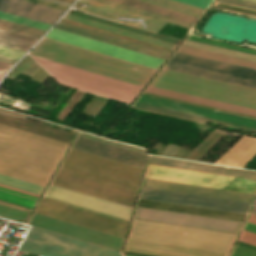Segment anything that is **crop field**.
Wrapping results in <instances>:
<instances>
[{"label": "crop field", "instance_id": "obj_1", "mask_svg": "<svg viewBox=\"0 0 256 256\" xmlns=\"http://www.w3.org/2000/svg\"><path fill=\"white\" fill-rule=\"evenodd\" d=\"M141 169L70 149L52 185L133 205ZM50 185L45 197L124 220L131 206Z\"/></svg>", "mask_w": 256, "mask_h": 256}, {"label": "crop field", "instance_id": "obj_2", "mask_svg": "<svg viewBox=\"0 0 256 256\" xmlns=\"http://www.w3.org/2000/svg\"><path fill=\"white\" fill-rule=\"evenodd\" d=\"M165 69L256 89V70L176 52ZM162 69L151 86L256 109V90Z\"/></svg>", "mask_w": 256, "mask_h": 256}, {"label": "crop field", "instance_id": "obj_3", "mask_svg": "<svg viewBox=\"0 0 256 256\" xmlns=\"http://www.w3.org/2000/svg\"><path fill=\"white\" fill-rule=\"evenodd\" d=\"M68 145L0 124V173L45 186Z\"/></svg>", "mask_w": 256, "mask_h": 256}, {"label": "crop field", "instance_id": "obj_4", "mask_svg": "<svg viewBox=\"0 0 256 256\" xmlns=\"http://www.w3.org/2000/svg\"><path fill=\"white\" fill-rule=\"evenodd\" d=\"M37 56L144 86L155 69L44 38L30 52ZM134 84V85H135ZM141 86V87H142Z\"/></svg>", "mask_w": 256, "mask_h": 256}, {"label": "crop field", "instance_id": "obj_5", "mask_svg": "<svg viewBox=\"0 0 256 256\" xmlns=\"http://www.w3.org/2000/svg\"><path fill=\"white\" fill-rule=\"evenodd\" d=\"M236 235L134 219L132 239L228 253Z\"/></svg>", "mask_w": 256, "mask_h": 256}, {"label": "crop field", "instance_id": "obj_6", "mask_svg": "<svg viewBox=\"0 0 256 256\" xmlns=\"http://www.w3.org/2000/svg\"><path fill=\"white\" fill-rule=\"evenodd\" d=\"M60 83L130 103L142 88L128 82L31 55Z\"/></svg>", "mask_w": 256, "mask_h": 256}, {"label": "crop field", "instance_id": "obj_7", "mask_svg": "<svg viewBox=\"0 0 256 256\" xmlns=\"http://www.w3.org/2000/svg\"><path fill=\"white\" fill-rule=\"evenodd\" d=\"M21 251L41 256H122L120 251L32 226Z\"/></svg>", "mask_w": 256, "mask_h": 256}, {"label": "crop field", "instance_id": "obj_8", "mask_svg": "<svg viewBox=\"0 0 256 256\" xmlns=\"http://www.w3.org/2000/svg\"><path fill=\"white\" fill-rule=\"evenodd\" d=\"M146 177L256 194V180L148 164Z\"/></svg>", "mask_w": 256, "mask_h": 256}, {"label": "crop field", "instance_id": "obj_9", "mask_svg": "<svg viewBox=\"0 0 256 256\" xmlns=\"http://www.w3.org/2000/svg\"><path fill=\"white\" fill-rule=\"evenodd\" d=\"M35 213L116 235L125 237L127 223L119 222L109 218L90 214L80 210L61 206L51 202L41 200Z\"/></svg>", "mask_w": 256, "mask_h": 256}, {"label": "crop field", "instance_id": "obj_10", "mask_svg": "<svg viewBox=\"0 0 256 256\" xmlns=\"http://www.w3.org/2000/svg\"><path fill=\"white\" fill-rule=\"evenodd\" d=\"M155 201L246 214L251 203L142 187L140 197Z\"/></svg>", "mask_w": 256, "mask_h": 256}, {"label": "crop field", "instance_id": "obj_11", "mask_svg": "<svg viewBox=\"0 0 256 256\" xmlns=\"http://www.w3.org/2000/svg\"><path fill=\"white\" fill-rule=\"evenodd\" d=\"M137 219L237 234L242 223L137 207Z\"/></svg>", "mask_w": 256, "mask_h": 256}, {"label": "crop field", "instance_id": "obj_12", "mask_svg": "<svg viewBox=\"0 0 256 256\" xmlns=\"http://www.w3.org/2000/svg\"><path fill=\"white\" fill-rule=\"evenodd\" d=\"M46 38H50L53 40H57L60 42H64L67 44H71L74 46H78L81 48H85L88 50H92L95 52H99L102 54H106L109 56H113L116 58H120L123 60H127L130 62H134L144 66L155 68V69H157L160 66V64L163 62V60H159L153 57H149L143 54L122 49L116 46H112L106 43H102L96 40L85 38V37L75 35V34L65 32L55 28H53L50 31V33L46 36Z\"/></svg>", "mask_w": 256, "mask_h": 256}, {"label": "crop field", "instance_id": "obj_13", "mask_svg": "<svg viewBox=\"0 0 256 256\" xmlns=\"http://www.w3.org/2000/svg\"><path fill=\"white\" fill-rule=\"evenodd\" d=\"M64 19L82 23V24H85L88 26H92L95 28L113 32V33H116L119 35H123L126 37L144 41V42L154 44L157 46H161L164 48H168L171 50H173L174 47L179 42V40H175V39L168 38L165 36L157 35L154 33H150V32L143 31V30L136 29V28L129 27V26H125L122 24H118L115 22H111L108 20H104L101 18L86 15V14L79 13V12L72 11V10L69 11V13L64 17Z\"/></svg>", "mask_w": 256, "mask_h": 256}, {"label": "crop field", "instance_id": "obj_14", "mask_svg": "<svg viewBox=\"0 0 256 256\" xmlns=\"http://www.w3.org/2000/svg\"><path fill=\"white\" fill-rule=\"evenodd\" d=\"M28 224L68 235L74 238L118 249L120 251L122 249L124 241L123 238H119L35 213H33Z\"/></svg>", "mask_w": 256, "mask_h": 256}, {"label": "crop field", "instance_id": "obj_15", "mask_svg": "<svg viewBox=\"0 0 256 256\" xmlns=\"http://www.w3.org/2000/svg\"><path fill=\"white\" fill-rule=\"evenodd\" d=\"M72 149L83 151L89 154L107 158L141 169L143 168L146 157L145 155H141L135 152L124 150L80 136H78L77 140L73 144Z\"/></svg>", "mask_w": 256, "mask_h": 256}, {"label": "crop field", "instance_id": "obj_16", "mask_svg": "<svg viewBox=\"0 0 256 256\" xmlns=\"http://www.w3.org/2000/svg\"><path fill=\"white\" fill-rule=\"evenodd\" d=\"M135 256H226L227 254L129 239L126 253Z\"/></svg>", "mask_w": 256, "mask_h": 256}, {"label": "crop field", "instance_id": "obj_17", "mask_svg": "<svg viewBox=\"0 0 256 256\" xmlns=\"http://www.w3.org/2000/svg\"><path fill=\"white\" fill-rule=\"evenodd\" d=\"M137 101L256 128V120L250 119V118L231 115V114H227V113L208 110V109L185 105V104H181V103L171 102V101L148 97V96H144V95H141Z\"/></svg>", "mask_w": 256, "mask_h": 256}, {"label": "crop field", "instance_id": "obj_18", "mask_svg": "<svg viewBox=\"0 0 256 256\" xmlns=\"http://www.w3.org/2000/svg\"><path fill=\"white\" fill-rule=\"evenodd\" d=\"M0 11L53 24L64 10L25 0H0Z\"/></svg>", "mask_w": 256, "mask_h": 256}, {"label": "crop field", "instance_id": "obj_19", "mask_svg": "<svg viewBox=\"0 0 256 256\" xmlns=\"http://www.w3.org/2000/svg\"><path fill=\"white\" fill-rule=\"evenodd\" d=\"M142 186L194 193V194L207 195V196H214V197H221V198H228V199H235V200H242V201H249V202H252L255 197V195L253 194L200 187V186L187 185V184L174 183V182L161 181V180H154V179H148V178L144 179Z\"/></svg>", "mask_w": 256, "mask_h": 256}, {"label": "crop field", "instance_id": "obj_20", "mask_svg": "<svg viewBox=\"0 0 256 256\" xmlns=\"http://www.w3.org/2000/svg\"><path fill=\"white\" fill-rule=\"evenodd\" d=\"M256 157V138L243 135L215 163L243 168Z\"/></svg>", "mask_w": 256, "mask_h": 256}, {"label": "crop field", "instance_id": "obj_21", "mask_svg": "<svg viewBox=\"0 0 256 256\" xmlns=\"http://www.w3.org/2000/svg\"><path fill=\"white\" fill-rule=\"evenodd\" d=\"M153 209L243 222L246 215L139 199L138 205Z\"/></svg>", "mask_w": 256, "mask_h": 256}, {"label": "crop field", "instance_id": "obj_22", "mask_svg": "<svg viewBox=\"0 0 256 256\" xmlns=\"http://www.w3.org/2000/svg\"><path fill=\"white\" fill-rule=\"evenodd\" d=\"M148 163L256 179V172L254 171L239 170L162 157L150 156Z\"/></svg>", "mask_w": 256, "mask_h": 256}, {"label": "crop field", "instance_id": "obj_23", "mask_svg": "<svg viewBox=\"0 0 256 256\" xmlns=\"http://www.w3.org/2000/svg\"><path fill=\"white\" fill-rule=\"evenodd\" d=\"M183 44L256 61L255 50H250L192 36H189Z\"/></svg>", "mask_w": 256, "mask_h": 256}, {"label": "crop field", "instance_id": "obj_24", "mask_svg": "<svg viewBox=\"0 0 256 256\" xmlns=\"http://www.w3.org/2000/svg\"><path fill=\"white\" fill-rule=\"evenodd\" d=\"M146 92L256 116V110L148 86Z\"/></svg>", "mask_w": 256, "mask_h": 256}, {"label": "crop field", "instance_id": "obj_25", "mask_svg": "<svg viewBox=\"0 0 256 256\" xmlns=\"http://www.w3.org/2000/svg\"><path fill=\"white\" fill-rule=\"evenodd\" d=\"M39 194L0 184V200L33 208Z\"/></svg>", "mask_w": 256, "mask_h": 256}, {"label": "crop field", "instance_id": "obj_26", "mask_svg": "<svg viewBox=\"0 0 256 256\" xmlns=\"http://www.w3.org/2000/svg\"><path fill=\"white\" fill-rule=\"evenodd\" d=\"M178 51L256 69V62L251 61V60H246V59H242V58H237V57H233V56L210 52V51L197 49V48H193V47H188V46H184V45H181V47L178 49Z\"/></svg>", "mask_w": 256, "mask_h": 256}, {"label": "crop field", "instance_id": "obj_27", "mask_svg": "<svg viewBox=\"0 0 256 256\" xmlns=\"http://www.w3.org/2000/svg\"><path fill=\"white\" fill-rule=\"evenodd\" d=\"M55 28H59V29L69 31V32H72V33H75V34H79V35H82V36H85V37H89V38L96 39V40H99V41H102V42H106V43H109V44H112V45H116V46H119V47H122V48L133 50V51L143 53V54H146V55H149V56H153V57H156V58H159V59L165 60L166 57H167V55H163V54H160V53H156V52H153V51L142 49V48H139V47H136V46H132V45L125 44V43H122V42H118V41H115V40L104 38V37H101V36L90 34V33L80 31V30H77V29H73V28H70V27H66V26H63V25L57 24L55 26Z\"/></svg>", "mask_w": 256, "mask_h": 256}, {"label": "crop field", "instance_id": "obj_28", "mask_svg": "<svg viewBox=\"0 0 256 256\" xmlns=\"http://www.w3.org/2000/svg\"><path fill=\"white\" fill-rule=\"evenodd\" d=\"M36 41L37 39L0 30V45L2 46L26 52Z\"/></svg>", "mask_w": 256, "mask_h": 256}, {"label": "crop field", "instance_id": "obj_29", "mask_svg": "<svg viewBox=\"0 0 256 256\" xmlns=\"http://www.w3.org/2000/svg\"><path fill=\"white\" fill-rule=\"evenodd\" d=\"M115 1H119V2L126 3V4H129V5H133V6H136V7L144 8V9H147V10H151V11H154V12H158V13H161V14H165V15H168V16H172V17L179 18V19L186 20V21L193 22V23H195L196 20L198 19V17H194V16H191V15L180 13V12H177V11H173V10L166 9V8H163V7H159V6H156V5H152V4H149V3L141 2V1H138V0H115Z\"/></svg>", "mask_w": 256, "mask_h": 256}, {"label": "crop field", "instance_id": "obj_30", "mask_svg": "<svg viewBox=\"0 0 256 256\" xmlns=\"http://www.w3.org/2000/svg\"><path fill=\"white\" fill-rule=\"evenodd\" d=\"M97 1L104 2V3L114 5V6H117V7H121V8L131 10V11H134V12H138V13H141V14H145V15L155 17V18H158V19H162V20L172 22V23H175V24H179V25H182V26H185V27L191 28L192 25H193L192 23H189V22H186V21H182V20H179V19H175V18H172V17H168V16H165V15H161V14L154 13V12H151V11H147V10H144V9L136 8V7L129 6V5H126V4H122V3H119V2H115V1H112V0H97Z\"/></svg>", "mask_w": 256, "mask_h": 256}, {"label": "crop field", "instance_id": "obj_31", "mask_svg": "<svg viewBox=\"0 0 256 256\" xmlns=\"http://www.w3.org/2000/svg\"><path fill=\"white\" fill-rule=\"evenodd\" d=\"M0 19L18 23V24H22V25H26L29 27L37 28V29H41V30H45V31H47L49 29V27L51 26L50 24H46V23L14 16V15L6 14V13H2V12H0Z\"/></svg>", "mask_w": 256, "mask_h": 256}, {"label": "crop field", "instance_id": "obj_32", "mask_svg": "<svg viewBox=\"0 0 256 256\" xmlns=\"http://www.w3.org/2000/svg\"><path fill=\"white\" fill-rule=\"evenodd\" d=\"M0 183L7 184V185H10V186H14V187H18V188L25 189V190H28V191H32V192H35V193H39V194L41 193V191L43 189V186H39V185H36V184H32V183H29V182H25V181H22V180H18V179H15V178L4 176V175H1V174H0Z\"/></svg>", "mask_w": 256, "mask_h": 256}, {"label": "crop field", "instance_id": "obj_33", "mask_svg": "<svg viewBox=\"0 0 256 256\" xmlns=\"http://www.w3.org/2000/svg\"><path fill=\"white\" fill-rule=\"evenodd\" d=\"M27 215H28V212H24V211L14 209L11 207H7V206L0 204V216L1 217L24 223Z\"/></svg>", "mask_w": 256, "mask_h": 256}, {"label": "crop field", "instance_id": "obj_34", "mask_svg": "<svg viewBox=\"0 0 256 256\" xmlns=\"http://www.w3.org/2000/svg\"><path fill=\"white\" fill-rule=\"evenodd\" d=\"M59 24H63V25H66V26H70V27L77 28V29H80V30H84V31H87V32H90V33H94V34H97V35H101V36H104V37H108V38H111V39H115V40H118V41H122V42H125V43H129V44H132V45H136V46H139V47H142V48H146V49H149V50H153V51H156V52H160V53L169 55V52H165V51H162V50H158V49H155V48L144 46V45H141V44H138V43H134V42L127 41V40H124V39H120V38H117V37L106 35V34H103V33L92 31V30L82 28V27H79V26H75V25H72V24H68V23H65V22L59 21Z\"/></svg>", "mask_w": 256, "mask_h": 256}, {"label": "crop field", "instance_id": "obj_35", "mask_svg": "<svg viewBox=\"0 0 256 256\" xmlns=\"http://www.w3.org/2000/svg\"><path fill=\"white\" fill-rule=\"evenodd\" d=\"M150 1L157 2V3H160V4H164V5H167V6H171V7H174V8H178V9H181V10H185V11L192 12V13L199 14V15H201L202 12L204 11V9L193 7V6L183 4V3H180V2H176V1H173V0H150Z\"/></svg>", "mask_w": 256, "mask_h": 256}, {"label": "crop field", "instance_id": "obj_36", "mask_svg": "<svg viewBox=\"0 0 256 256\" xmlns=\"http://www.w3.org/2000/svg\"><path fill=\"white\" fill-rule=\"evenodd\" d=\"M0 29L10 31L13 33H17V34H21V35H25V36H29V37H33V38H37V39H39L43 35V33L7 25L4 23H0Z\"/></svg>", "mask_w": 256, "mask_h": 256}, {"label": "crop field", "instance_id": "obj_37", "mask_svg": "<svg viewBox=\"0 0 256 256\" xmlns=\"http://www.w3.org/2000/svg\"><path fill=\"white\" fill-rule=\"evenodd\" d=\"M232 256H256V246L239 241Z\"/></svg>", "mask_w": 256, "mask_h": 256}, {"label": "crop field", "instance_id": "obj_38", "mask_svg": "<svg viewBox=\"0 0 256 256\" xmlns=\"http://www.w3.org/2000/svg\"><path fill=\"white\" fill-rule=\"evenodd\" d=\"M80 136H84V137H87V138H90V139H94V140H97V141H101V142H104V143H107V144H111V145H114V146H118V147H121V148H124V149H128V150L135 151V152L146 155L145 151L142 150L143 148L140 149V148H136V147H132V146L112 142V141H109V140H106V139H103V138H100V137H96V136H93V135H90V134H87V133H84V132H81Z\"/></svg>", "mask_w": 256, "mask_h": 256}, {"label": "crop field", "instance_id": "obj_39", "mask_svg": "<svg viewBox=\"0 0 256 256\" xmlns=\"http://www.w3.org/2000/svg\"><path fill=\"white\" fill-rule=\"evenodd\" d=\"M218 1L256 10V4L250 3V2H245L241 0H218Z\"/></svg>", "mask_w": 256, "mask_h": 256}, {"label": "crop field", "instance_id": "obj_40", "mask_svg": "<svg viewBox=\"0 0 256 256\" xmlns=\"http://www.w3.org/2000/svg\"><path fill=\"white\" fill-rule=\"evenodd\" d=\"M193 6L206 9L213 0H176Z\"/></svg>", "mask_w": 256, "mask_h": 256}, {"label": "crop field", "instance_id": "obj_41", "mask_svg": "<svg viewBox=\"0 0 256 256\" xmlns=\"http://www.w3.org/2000/svg\"><path fill=\"white\" fill-rule=\"evenodd\" d=\"M239 240L256 245V234L244 230Z\"/></svg>", "mask_w": 256, "mask_h": 256}, {"label": "crop field", "instance_id": "obj_42", "mask_svg": "<svg viewBox=\"0 0 256 256\" xmlns=\"http://www.w3.org/2000/svg\"><path fill=\"white\" fill-rule=\"evenodd\" d=\"M178 149L179 146L168 144V146L165 148L161 155L173 157V155L176 153Z\"/></svg>", "mask_w": 256, "mask_h": 256}, {"label": "crop field", "instance_id": "obj_43", "mask_svg": "<svg viewBox=\"0 0 256 256\" xmlns=\"http://www.w3.org/2000/svg\"><path fill=\"white\" fill-rule=\"evenodd\" d=\"M41 67L37 65L35 62L29 66L22 74L31 77L35 72H37Z\"/></svg>", "mask_w": 256, "mask_h": 256}, {"label": "crop field", "instance_id": "obj_44", "mask_svg": "<svg viewBox=\"0 0 256 256\" xmlns=\"http://www.w3.org/2000/svg\"><path fill=\"white\" fill-rule=\"evenodd\" d=\"M12 66V64L0 62V73L4 74Z\"/></svg>", "mask_w": 256, "mask_h": 256}, {"label": "crop field", "instance_id": "obj_45", "mask_svg": "<svg viewBox=\"0 0 256 256\" xmlns=\"http://www.w3.org/2000/svg\"><path fill=\"white\" fill-rule=\"evenodd\" d=\"M0 203H1V204H4V205H7V206L14 207V208H18V209H21V210H24V211H28V212L31 211V209H27V208H24V207H20V206H17V205H14V204H10V203H7V202L0 201Z\"/></svg>", "mask_w": 256, "mask_h": 256}, {"label": "crop field", "instance_id": "obj_46", "mask_svg": "<svg viewBox=\"0 0 256 256\" xmlns=\"http://www.w3.org/2000/svg\"><path fill=\"white\" fill-rule=\"evenodd\" d=\"M0 61H4V62L14 64L17 61V59H13V58H9V57H5V56L0 55Z\"/></svg>", "mask_w": 256, "mask_h": 256}, {"label": "crop field", "instance_id": "obj_47", "mask_svg": "<svg viewBox=\"0 0 256 256\" xmlns=\"http://www.w3.org/2000/svg\"><path fill=\"white\" fill-rule=\"evenodd\" d=\"M0 22H4V23H7V24H11V25H15V26H19V27H23V28H27V29H31V30H35V31H39V32H43V33H45V31H41V30H37V29H33V28H29V27H26V26H22V25H18V24L10 23V22L3 21V20H0Z\"/></svg>", "mask_w": 256, "mask_h": 256}, {"label": "crop field", "instance_id": "obj_48", "mask_svg": "<svg viewBox=\"0 0 256 256\" xmlns=\"http://www.w3.org/2000/svg\"><path fill=\"white\" fill-rule=\"evenodd\" d=\"M141 1L149 2V3H152V4H156V5H159V6H163V7H166V8H170V9H173V10H177V11H180V12H184V13L191 14V15L198 16V17H199V15H195V14H192V13H188V12H185V11H181V10H178V9H174V8L167 7V6H164V5H160V4H157V3H153V2H150V1H146V0H141Z\"/></svg>", "mask_w": 256, "mask_h": 256}, {"label": "crop field", "instance_id": "obj_49", "mask_svg": "<svg viewBox=\"0 0 256 256\" xmlns=\"http://www.w3.org/2000/svg\"><path fill=\"white\" fill-rule=\"evenodd\" d=\"M47 1L55 2V3H59V4H63V5H67V6H69V5H70V3H66V2H62V1H58V0H47Z\"/></svg>", "mask_w": 256, "mask_h": 256}, {"label": "crop field", "instance_id": "obj_50", "mask_svg": "<svg viewBox=\"0 0 256 256\" xmlns=\"http://www.w3.org/2000/svg\"><path fill=\"white\" fill-rule=\"evenodd\" d=\"M249 222L255 223L256 224V215H251Z\"/></svg>", "mask_w": 256, "mask_h": 256}, {"label": "crop field", "instance_id": "obj_51", "mask_svg": "<svg viewBox=\"0 0 256 256\" xmlns=\"http://www.w3.org/2000/svg\"><path fill=\"white\" fill-rule=\"evenodd\" d=\"M62 1H66V2L72 3L74 0H62Z\"/></svg>", "mask_w": 256, "mask_h": 256}, {"label": "crop field", "instance_id": "obj_52", "mask_svg": "<svg viewBox=\"0 0 256 256\" xmlns=\"http://www.w3.org/2000/svg\"><path fill=\"white\" fill-rule=\"evenodd\" d=\"M246 1H250V2H254V3H256V0H246Z\"/></svg>", "mask_w": 256, "mask_h": 256}, {"label": "crop field", "instance_id": "obj_53", "mask_svg": "<svg viewBox=\"0 0 256 256\" xmlns=\"http://www.w3.org/2000/svg\"><path fill=\"white\" fill-rule=\"evenodd\" d=\"M253 214H256V207H255V209H254V211H253Z\"/></svg>", "mask_w": 256, "mask_h": 256}, {"label": "crop field", "instance_id": "obj_54", "mask_svg": "<svg viewBox=\"0 0 256 256\" xmlns=\"http://www.w3.org/2000/svg\"><path fill=\"white\" fill-rule=\"evenodd\" d=\"M30 118V117H29ZM34 119V118H33ZM37 120V119H36ZM41 121V120H40ZM48 123V122H47ZM52 124V123H51ZM55 125V124H54ZM59 126V125H58ZM62 127V126H61ZM72 130V129H71Z\"/></svg>", "mask_w": 256, "mask_h": 256}, {"label": "crop field", "instance_id": "obj_55", "mask_svg": "<svg viewBox=\"0 0 256 256\" xmlns=\"http://www.w3.org/2000/svg\"><path fill=\"white\" fill-rule=\"evenodd\" d=\"M2 77V74H0V78Z\"/></svg>", "mask_w": 256, "mask_h": 256}, {"label": "crop field", "instance_id": "obj_56", "mask_svg": "<svg viewBox=\"0 0 256 256\" xmlns=\"http://www.w3.org/2000/svg\"><path fill=\"white\" fill-rule=\"evenodd\" d=\"M124 256H128V255H124Z\"/></svg>", "mask_w": 256, "mask_h": 256}]
</instances>
